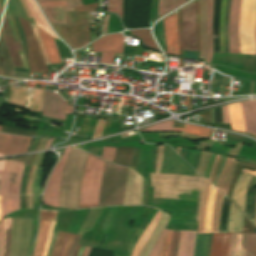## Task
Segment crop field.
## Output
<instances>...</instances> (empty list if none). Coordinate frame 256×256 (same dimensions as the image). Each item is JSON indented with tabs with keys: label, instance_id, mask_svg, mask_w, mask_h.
I'll list each match as a JSON object with an SVG mask.
<instances>
[{
	"label": "crop field",
	"instance_id": "8a807250",
	"mask_svg": "<svg viewBox=\"0 0 256 256\" xmlns=\"http://www.w3.org/2000/svg\"><path fill=\"white\" fill-rule=\"evenodd\" d=\"M128 169L115 164H105L99 206L122 204Z\"/></svg>",
	"mask_w": 256,
	"mask_h": 256
},
{
	"label": "crop field",
	"instance_id": "ac0d7876",
	"mask_svg": "<svg viewBox=\"0 0 256 256\" xmlns=\"http://www.w3.org/2000/svg\"><path fill=\"white\" fill-rule=\"evenodd\" d=\"M105 162L88 155L80 185V208L98 206L99 188Z\"/></svg>",
	"mask_w": 256,
	"mask_h": 256
},
{
	"label": "crop field",
	"instance_id": "34b2d1b8",
	"mask_svg": "<svg viewBox=\"0 0 256 256\" xmlns=\"http://www.w3.org/2000/svg\"><path fill=\"white\" fill-rule=\"evenodd\" d=\"M67 25L51 23L57 34L74 49L83 47L89 41L88 12L75 14L66 12Z\"/></svg>",
	"mask_w": 256,
	"mask_h": 256
},
{
	"label": "crop field",
	"instance_id": "412701ff",
	"mask_svg": "<svg viewBox=\"0 0 256 256\" xmlns=\"http://www.w3.org/2000/svg\"><path fill=\"white\" fill-rule=\"evenodd\" d=\"M256 0H242L239 22L240 54L256 55Z\"/></svg>",
	"mask_w": 256,
	"mask_h": 256
},
{
	"label": "crop field",
	"instance_id": "f4fd0767",
	"mask_svg": "<svg viewBox=\"0 0 256 256\" xmlns=\"http://www.w3.org/2000/svg\"><path fill=\"white\" fill-rule=\"evenodd\" d=\"M33 219L12 218L10 256H26Z\"/></svg>",
	"mask_w": 256,
	"mask_h": 256
},
{
	"label": "crop field",
	"instance_id": "dd49c442",
	"mask_svg": "<svg viewBox=\"0 0 256 256\" xmlns=\"http://www.w3.org/2000/svg\"><path fill=\"white\" fill-rule=\"evenodd\" d=\"M13 66L23 68L20 55L24 54L18 37V33L11 15H5L1 29Z\"/></svg>",
	"mask_w": 256,
	"mask_h": 256
},
{
	"label": "crop field",
	"instance_id": "e52e79f7",
	"mask_svg": "<svg viewBox=\"0 0 256 256\" xmlns=\"http://www.w3.org/2000/svg\"><path fill=\"white\" fill-rule=\"evenodd\" d=\"M26 35L30 72H48L31 24L19 18Z\"/></svg>",
	"mask_w": 256,
	"mask_h": 256
},
{
	"label": "crop field",
	"instance_id": "d8731c3e",
	"mask_svg": "<svg viewBox=\"0 0 256 256\" xmlns=\"http://www.w3.org/2000/svg\"><path fill=\"white\" fill-rule=\"evenodd\" d=\"M23 167L20 162H5L3 171H0V195L19 194Z\"/></svg>",
	"mask_w": 256,
	"mask_h": 256
},
{
	"label": "crop field",
	"instance_id": "5a996713",
	"mask_svg": "<svg viewBox=\"0 0 256 256\" xmlns=\"http://www.w3.org/2000/svg\"><path fill=\"white\" fill-rule=\"evenodd\" d=\"M183 50L197 51L195 4L182 9Z\"/></svg>",
	"mask_w": 256,
	"mask_h": 256
},
{
	"label": "crop field",
	"instance_id": "3316defc",
	"mask_svg": "<svg viewBox=\"0 0 256 256\" xmlns=\"http://www.w3.org/2000/svg\"><path fill=\"white\" fill-rule=\"evenodd\" d=\"M69 149L70 148H67L65 150L60 162L52 172L50 179L48 181V184L44 193V198H43V202L47 205H52L57 207L61 172H62L64 161Z\"/></svg>",
	"mask_w": 256,
	"mask_h": 256
},
{
	"label": "crop field",
	"instance_id": "28ad6ade",
	"mask_svg": "<svg viewBox=\"0 0 256 256\" xmlns=\"http://www.w3.org/2000/svg\"><path fill=\"white\" fill-rule=\"evenodd\" d=\"M31 139L0 134V153L8 155L26 152Z\"/></svg>",
	"mask_w": 256,
	"mask_h": 256
},
{
	"label": "crop field",
	"instance_id": "d1516ede",
	"mask_svg": "<svg viewBox=\"0 0 256 256\" xmlns=\"http://www.w3.org/2000/svg\"><path fill=\"white\" fill-rule=\"evenodd\" d=\"M38 2L58 1V0H37ZM66 5L42 8L49 22L66 24L65 11L74 10V6H79L81 0H65Z\"/></svg>",
	"mask_w": 256,
	"mask_h": 256
},
{
	"label": "crop field",
	"instance_id": "22f410ed",
	"mask_svg": "<svg viewBox=\"0 0 256 256\" xmlns=\"http://www.w3.org/2000/svg\"><path fill=\"white\" fill-rule=\"evenodd\" d=\"M241 0H232L229 15V53L239 54L238 21Z\"/></svg>",
	"mask_w": 256,
	"mask_h": 256
},
{
	"label": "crop field",
	"instance_id": "cbeb9de0",
	"mask_svg": "<svg viewBox=\"0 0 256 256\" xmlns=\"http://www.w3.org/2000/svg\"><path fill=\"white\" fill-rule=\"evenodd\" d=\"M165 41L169 54L179 56L177 14L164 19Z\"/></svg>",
	"mask_w": 256,
	"mask_h": 256
},
{
	"label": "crop field",
	"instance_id": "5142ce71",
	"mask_svg": "<svg viewBox=\"0 0 256 256\" xmlns=\"http://www.w3.org/2000/svg\"><path fill=\"white\" fill-rule=\"evenodd\" d=\"M63 104L64 101L58 94L45 92L42 115L65 120L66 115L62 114Z\"/></svg>",
	"mask_w": 256,
	"mask_h": 256
},
{
	"label": "crop field",
	"instance_id": "d9b57169",
	"mask_svg": "<svg viewBox=\"0 0 256 256\" xmlns=\"http://www.w3.org/2000/svg\"><path fill=\"white\" fill-rule=\"evenodd\" d=\"M93 51L121 53L123 50V37L121 34L104 36L92 43Z\"/></svg>",
	"mask_w": 256,
	"mask_h": 256
},
{
	"label": "crop field",
	"instance_id": "733c2abd",
	"mask_svg": "<svg viewBox=\"0 0 256 256\" xmlns=\"http://www.w3.org/2000/svg\"><path fill=\"white\" fill-rule=\"evenodd\" d=\"M252 176L240 174L233 191L232 201L244 212L246 188Z\"/></svg>",
	"mask_w": 256,
	"mask_h": 256
},
{
	"label": "crop field",
	"instance_id": "4a817a6b",
	"mask_svg": "<svg viewBox=\"0 0 256 256\" xmlns=\"http://www.w3.org/2000/svg\"><path fill=\"white\" fill-rule=\"evenodd\" d=\"M241 105L246 132L252 133L256 136V101L243 102Z\"/></svg>",
	"mask_w": 256,
	"mask_h": 256
},
{
	"label": "crop field",
	"instance_id": "bc2a9ffb",
	"mask_svg": "<svg viewBox=\"0 0 256 256\" xmlns=\"http://www.w3.org/2000/svg\"><path fill=\"white\" fill-rule=\"evenodd\" d=\"M231 234H213L210 256H227Z\"/></svg>",
	"mask_w": 256,
	"mask_h": 256
},
{
	"label": "crop field",
	"instance_id": "214f88e0",
	"mask_svg": "<svg viewBox=\"0 0 256 256\" xmlns=\"http://www.w3.org/2000/svg\"><path fill=\"white\" fill-rule=\"evenodd\" d=\"M196 232L180 231L177 256H192Z\"/></svg>",
	"mask_w": 256,
	"mask_h": 256
},
{
	"label": "crop field",
	"instance_id": "92a150f3",
	"mask_svg": "<svg viewBox=\"0 0 256 256\" xmlns=\"http://www.w3.org/2000/svg\"><path fill=\"white\" fill-rule=\"evenodd\" d=\"M248 233L232 234L228 256H245Z\"/></svg>",
	"mask_w": 256,
	"mask_h": 256
},
{
	"label": "crop field",
	"instance_id": "dafd665d",
	"mask_svg": "<svg viewBox=\"0 0 256 256\" xmlns=\"http://www.w3.org/2000/svg\"><path fill=\"white\" fill-rule=\"evenodd\" d=\"M228 109H229V115H230L232 129L235 131L245 132L244 121H243L240 103L229 105Z\"/></svg>",
	"mask_w": 256,
	"mask_h": 256
},
{
	"label": "crop field",
	"instance_id": "00972430",
	"mask_svg": "<svg viewBox=\"0 0 256 256\" xmlns=\"http://www.w3.org/2000/svg\"><path fill=\"white\" fill-rule=\"evenodd\" d=\"M243 218H244V215L232 203L230 214H229L227 233L241 232Z\"/></svg>",
	"mask_w": 256,
	"mask_h": 256
},
{
	"label": "crop field",
	"instance_id": "a9b5d70f",
	"mask_svg": "<svg viewBox=\"0 0 256 256\" xmlns=\"http://www.w3.org/2000/svg\"><path fill=\"white\" fill-rule=\"evenodd\" d=\"M212 234H197L193 256H209Z\"/></svg>",
	"mask_w": 256,
	"mask_h": 256
},
{
	"label": "crop field",
	"instance_id": "4177f3b9",
	"mask_svg": "<svg viewBox=\"0 0 256 256\" xmlns=\"http://www.w3.org/2000/svg\"><path fill=\"white\" fill-rule=\"evenodd\" d=\"M51 64L61 63L53 37L39 29Z\"/></svg>",
	"mask_w": 256,
	"mask_h": 256
},
{
	"label": "crop field",
	"instance_id": "730fd06b",
	"mask_svg": "<svg viewBox=\"0 0 256 256\" xmlns=\"http://www.w3.org/2000/svg\"><path fill=\"white\" fill-rule=\"evenodd\" d=\"M162 214L163 213L157 211V213L155 214V216L151 220L150 224L148 225L147 229L145 230V232L142 234L139 241L137 242L131 256H138L140 250L142 249L145 242L149 238L151 232L153 231L155 225L157 224V222H158V220H159V218L161 217Z\"/></svg>",
	"mask_w": 256,
	"mask_h": 256
},
{
	"label": "crop field",
	"instance_id": "eef30255",
	"mask_svg": "<svg viewBox=\"0 0 256 256\" xmlns=\"http://www.w3.org/2000/svg\"><path fill=\"white\" fill-rule=\"evenodd\" d=\"M201 9V38L202 54L201 59L206 61L207 56V38H206V0H199Z\"/></svg>",
	"mask_w": 256,
	"mask_h": 256
},
{
	"label": "crop field",
	"instance_id": "ae1a2a85",
	"mask_svg": "<svg viewBox=\"0 0 256 256\" xmlns=\"http://www.w3.org/2000/svg\"><path fill=\"white\" fill-rule=\"evenodd\" d=\"M167 221H168V216L164 213V215L162 216V218L158 222L151 238L149 239V241L147 242L146 246L144 247V249L142 250V252L140 253L139 256H148V254L151 251V249H152L156 239L158 238L160 232L165 227Z\"/></svg>",
	"mask_w": 256,
	"mask_h": 256
},
{
	"label": "crop field",
	"instance_id": "d3111659",
	"mask_svg": "<svg viewBox=\"0 0 256 256\" xmlns=\"http://www.w3.org/2000/svg\"><path fill=\"white\" fill-rule=\"evenodd\" d=\"M25 2H26L28 8L30 9V11H31V13H32V15L34 17L37 26H39L41 29H43L48 34H50L53 37H55L53 32L51 31L50 27L46 23L45 19L41 15L40 11L36 7L35 3L33 2V0H25Z\"/></svg>",
	"mask_w": 256,
	"mask_h": 256
},
{
	"label": "crop field",
	"instance_id": "750c4746",
	"mask_svg": "<svg viewBox=\"0 0 256 256\" xmlns=\"http://www.w3.org/2000/svg\"><path fill=\"white\" fill-rule=\"evenodd\" d=\"M215 190L216 187L211 184L207 199L204 233H211V218L214 205Z\"/></svg>",
	"mask_w": 256,
	"mask_h": 256
},
{
	"label": "crop field",
	"instance_id": "bd1437ed",
	"mask_svg": "<svg viewBox=\"0 0 256 256\" xmlns=\"http://www.w3.org/2000/svg\"><path fill=\"white\" fill-rule=\"evenodd\" d=\"M212 10H213V0H208L207 7V37H208V57L207 62H211V56L213 51L212 43Z\"/></svg>",
	"mask_w": 256,
	"mask_h": 256
},
{
	"label": "crop field",
	"instance_id": "1d83c4d3",
	"mask_svg": "<svg viewBox=\"0 0 256 256\" xmlns=\"http://www.w3.org/2000/svg\"><path fill=\"white\" fill-rule=\"evenodd\" d=\"M49 223L50 221H45V220H41L40 222V230H39L38 238L36 241L34 256L42 255L44 243H45L47 232H48Z\"/></svg>",
	"mask_w": 256,
	"mask_h": 256
},
{
	"label": "crop field",
	"instance_id": "120bbe31",
	"mask_svg": "<svg viewBox=\"0 0 256 256\" xmlns=\"http://www.w3.org/2000/svg\"><path fill=\"white\" fill-rule=\"evenodd\" d=\"M212 129L184 123L183 128H174V131L185 132L208 138Z\"/></svg>",
	"mask_w": 256,
	"mask_h": 256
},
{
	"label": "crop field",
	"instance_id": "d32e631a",
	"mask_svg": "<svg viewBox=\"0 0 256 256\" xmlns=\"http://www.w3.org/2000/svg\"><path fill=\"white\" fill-rule=\"evenodd\" d=\"M19 209V196L2 197L3 218L10 212Z\"/></svg>",
	"mask_w": 256,
	"mask_h": 256
},
{
	"label": "crop field",
	"instance_id": "5866460e",
	"mask_svg": "<svg viewBox=\"0 0 256 256\" xmlns=\"http://www.w3.org/2000/svg\"><path fill=\"white\" fill-rule=\"evenodd\" d=\"M185 3V0H159L157 18Z\"/></svg>",
	"mask_w": 256,
	"mask_h": 256
},
{
	"label": "crop field",
	"instance_id": "028f5c9d",
	"mask_svg": "<svg viewBox=\"0 0 256 256\" xmlns=\"http://www.w3.org/2000/svg\"><path fill=\"white\" fill-rule=\"evenodd\" d=\"M132 35L139 37L144 46L159 51L149 33V30H134L132 31Z\"/></svg>",
	"mask_w": 256,
	"mask_h": 256
},
{
	"label": "crop field",
	"instance_id": "e1f06a70",
	"mask_svg": "<svg viewBox=\"0 0 256 256\" xmlns=\"http://www.w3.org/2000/svg\"><path fill=\"white\" fill-rule=\"evenodd\" d=\"M3 224H4L3 256H8L10 230H11V218H7V219L3 220Z\"/></svg>",
	"mask_w": 256,
	"mask_h": 256
},
{
	"label": "crop field",
	"instance_id": "0bd39190",
	"mask_svg": "<svg viewBox=\"0 0 256 256\" xmlns=\"http://www.w3.org/2000/svg\"><path fill=\"white\" fill-rule=\"evenodd\" d=\"M173 121H164L147 128L141 129V131H172Z\"/></svg>",
	"mask_w": 256,
	"mask_h": 256
},
{
	"label": "crop field",
	"instance_id": "b80d0937",
	"mask_svg": "<svg viewBox=\"0 0 256 256\" xmlns=\"http://www.w3.org/2000/svg\"><path fill=\"white\" fill-rule=\"evenodd\" d=\"M68 234L69 233H67V232H61V231L58 232L56 242H55V245H54L51 256H58L59 255Z\"/></svg>",
	"mask_w": 256,
	"mask_h": 256
},
{
	"label": "crop field",
	"instance_id": "c035e120",
	"mask_svg": "<svg viewBox=\"0 0 256 256\" xmlns=\"http://www.w3.org/2000/svg\"><path fill=\"white\" fill-rule=\"evenodd\" d=\"M227 0L222 1L221 19H220V38H221V53H224V22H225V8Z\"/></svg>",
	"mask_w": 256,
	"mask_h": 256
},
{
	"label": "crop field",
	"instance_id": "c21b1889",
	"mask_svg": "<svg viewBox=\"0 0 256 256\" xmlns=\"http://www.w3.org/2000/svg\"><path fill=\"white\" fill-rule=\"evenodd\" d=\"M108 3V10L111 12L118 13L122 18L123 0H108Z\"/></svg>",
	"mask_w": 256,
	"mask_h": 256
},
{
	"label": "crop field",
	"instance_id": "03da06ac",
	"mask_svg": "<svg viewBox=\"0 0 256 256\" xmlns=\"http://www.w3.org/2000/svg\"><path fill=\"white\" fill-rule=\"evenodd\" d=\"M167 231L168 230H166V229L163 230V232H162L160 238L158 239L154 249L152 250L150 256H159L162 245H163V242H164V239H165L166 234H167Z\"/></svg>",
	"mask_w": 256,
	"mask_h": 256
},
{
	"label": "crop field",
	"instance_id": "b54c1fbb",
	"mask_svg": "<svg viewBox=\"0 0 256 256\" xmlns=\"http://www.w3.org/2000/svg\"><path fill=\"white\" fill-rule=\"evenodd\" d=\"M255 240H256V234L249 233L247 249H246V256H253Z\"/></svg>",
	"mask_w": 256,
	"mask_h": 256
},
{
	"label": "crop field",
	"instance_id": "5d738f31",
	"mask_svg": "<svg viewBox=\"0 0 256 256\" xmlns=\"http://www.w3.org/2000/svg\"><path fill=\"white\" fill-rule=\"evenodd\" d=\"M116 148L103 147L101 157L105 160L112 161L114 160Z\"/></svg>",
	"mask_w": 256,
	"mask_h": 256
},
{
	"label": "crop field",
	"instance_id": "d23c7cc5",
	"mask_svg": "<svg viewBox=\"0 0 256 256\" xmlns=\"http://www.w3.org/2000/svg\"><path fill=\"white\" fill-rule=\"evenodd\" d=\"M75 236H76L75 234H71V233L69 234V236L66 240V243H65L59 256H67V254L72 246Z\"/></svg>",
	"mask_w": 256,
	"mask_h": 256
},
{
	"label": "crop field",
	"instance_id": "425ffa30",
	"mask_svg": "<svg viewBox=\"0 0 256 256\" xmlns=\"http://www.w3.org/2000/svg\"><path fill=\"white\" fill-rule=\"evenodd\" d=\"M172 233H173V230L168 231L160 256H168Z\"/></svg>",
	"mask_w": 256,
	"mask_h": 256
},
{
	"label": "crop field",
	"instance_id": "25e5ab78",
	"mask_svg": "<svg viewBox=\"0 0 256 256\" xmlns=\"http://www.w3.org/2000/svg\"><path fill=\"white\" fill-rule=\"evenodd\" d=\"M42 175H43V168H38V171H37L36 176H35L33 194L42 192V190L40 188V181H41Z\"/></svg>",
	"mask_w": 256,
	"mask_h": 256
},
{
	"label": "crop field",
	"instance_id": "73cf0c24",
	"mask_svg": "<svg viewBox=\"0 0 256 256\" xmlns=\"http://www.w3.org/2000/svg\"><path fill=\"white\" fill-rule=\"evenodd\" d=\"M32 26H33L35 35H36V37H37L38 43H39V45H40L42 54H43V56H44L45 62H46L47 65H49L50 63H49V60H48V57H47V54H46V51H45V48H44L42 39H41V37H40L38 28H37V26H35V25H33V24H32Z\"/></svg>",
	"mask_w": 256,
	"mask_h": 256
},
{
	"label": "crop field",
	"instance_id": "89e229c0",
	"mask_svg": "<svg viewBox=\"0 0 256 256\" xmlns=\"http://www.w3.org/2000/svg\"><path fill=\"white\" fill-rule=\"evenodd\" d=\"M230 2H231V0H228L227 10H226V23H225V53H228V45H229V38H228V15H229Z\"/></svg>",
	"mask_w": 256,
	"mask_h": 256
},
{
	"label": "crop field",
	"instance_id": "1f2cbd36",
	"mask_svg": "<svg viewBox=\"0 0 256 256\" xmlns=\"http://www.w3.org/2000/svg\"><path fill=\"white\" fill-rule=\"evenodd\" d=\"M178 235H179V231H174L173 241H172V245H171V250H170V255L169 256H176L177 243H178Z\"/></svg>",
	"mask_w": 256,
	"mask_h": 256
},
{
	"label": "crop field",
	"instance_id": "dbb93151",
	"mask_svg": "<svg viewBox=\"0 0 256 256\" xmlns=\"http://www.w3.org/2000/svg\"><path fill=\"white\" fill-rule=\"evenodd\" d=\"M113 56H114V54H112V53H103L101 63L112 64Z\"/></svg>",
	"mask_w": 256,
	"mask_h": 256
},
{
	"label": "crop field",
	"instance_id": "0fb4a251",
	"mask_svg": "<svg viewBox=\"0 0 256 256\" xmlns=\"http://www.w3.org/2000/svg\"><path fill=\"white\" fill-rule=\"evenodd\" d=\"M13 17H14V16H13ZM14 19H15L16 25H17V27H18V30H19V32H20V37H21V39H22V41H23V45H24V48H25V51H26V55H27L26 44H25V36H24V34H23V31H22V28H21V25H20V23H19L18 18H17V17H14Z\"/></svg>",
	"mask_w": 256,
	"mask_h": 256
},
{
	"label": "crop field",
	"instance_id": "1d79db26",
	"mask_svg": "<svg viewBox=\"0 0 256 256\" xmlns=\"http://www.w3.org/2000/svg\"><path fill=\"white\" fill-rule=\"evenodd\" d=\"M55 223L56 222H53V221H51V223H50V228H49L48 237H47V241H46V245H45V250H44L43 256L46 255L47 247H48L49 240H50V237H51V234H52V231H53Z\"/></svg>",
	"mask_w": 256,
	"mask_h": 256
},
{
	"label": "crop field",
	"instance_id": "9d1cf04e",
	"mask_svg": "<svg viewBox=\"0 0 256 256\" xmlns=\"http://www.w3.org/2000/svg\"><path fill=\"white\" fill-rule=\"evenodd\" d=\"M35 156H36V155L33 156V159H32V161H31V164H30V167H29L27 176H26L24 194H27V184H28V180H29V177H30V174H31V170H32V167H33V164H34Z\"/></svg>",
	"mask_w": 256,
	"mask_h": 256
},
{
	"label": "crop field",
	"instance_id": "447ae74e",
	"mask_svg": "<svg viewBox=\"0 0 256 256\" xmlns=\"http://www.w3.org/2000/svg\"><path fill=\"white\" fill-rule=\"evenodd\" d=\"M57 213L41 212L40 219L55 220Z\"/></svg>",
	"mask_w": 256,
	"mask_h": 256
},
{
	"label": "crop field",
	"instance_id": "0765c3eb",
	"mask_svg": "<svg viewBox=\"0 0 256 256\" xmlns=\"http://www.w3.org/2000/svg\"><path fill=\"white\" fill-rule=\"evenodd\" d=\"M160 34H161V39H162L163 50H164V52H166L165 41H164L163 20L160 21Z\"/></svg>",
	"mask_w": 256,
	"mask_h": 256
},
{
	"label": "crop field",
	"instance_id": "db79e9e6",
	"mask_svg": "<svg viewBox=\"0 0 256 256\" xmlns=\"http://www.w3.org/2000/svg\"><path fill=\"white\" fill-rule=\"evenodd\" d=\"M65 4L64 1L39 3L40 7Z\"/></svg>",
	"mask_w": 256,
	"mask_h": 256
},
{
	"label": "crop field",
	"instance_id": "7b73153f",
	"mask_svg": "<svg viewBox=\"0 0 256 256\" xmlns=\"http://www.w3.org/2000/svg\"><path fill=\"white\" fill-rule=\"evenodd\" d=\"M224 123H230L227 106L222 107Z\"/></svg>",
	"mask_w": 256,
	"mask_h": 256
},
{
	"label": "crop field",
	"instance_id": "78b8030e",
	"mask_svg": "<svg viewBox=\"0 0 256 256\" xmlns=\"http://www.w3.org/2000/svg\"><path fill=\"white\" fill-rule=\"evenodd\" d=\"M57 232L58 231H56V230H54V232H53V236H52L51 244H50L48 252H47V256H50V253H51V250H52V247H53V244H54Z\"/></svg>",
	"mask_w": 256,
	"mask_h": 256
},
{
	"label": "crop field",
	"instance_id": "0f1d7ab4",
	"mask_svg": "<svg viewBox=\"0 0 256 256\" xmlns=\"http://www.w3.org/2000/svg\"><path fill=\"white\" fill-rule=\"evenodd\" d=\"M79 239H80V236L77 235L76 238H75V241L73 243V246H72V248H71V250H70V252L68 254V256H72L73 255Z\"/></svg>",
	"mask_w": 256,
	"mask_h": 256
},
{
	"label": "crop field",
	"instance_id": "e1d0b9f6",
	"mask_svg": "<svg viewBox=\"0 0 256 256\" xmlns=\"http://www.w3.org/2000/svg\"><path fill=\"white\" fill-rule=\"evenodd\" d=\"M63 113L72 114V106L67 105V101H65Z\"/></svg>",
	"mask_w": 256,
	"mask_h": 256
},
{
	"label": "crop field",
	"instance_id": "ae633e8c",
	"mask_svg": "<svg viewBox=\"0 0 256 256\" xmlns=\"http://www.w3.org/2000/svg\"><path fill=\"white\" fill-rule=\"evenodd\" d=\"M2 235H3V225H2V221L0 222V256H1V252H2Z\"/></svg>",
	"mask_w": 256,
	"mask_h": 256
},
{
	"label": "crop field",
	"instance_id": "d14b1444",
	"mask_svg": "<svg viewBox=\"0 0 256 256\" xmlns=\"http://www.w3.org/2000/svg\"><path fill=\"white\" fill-rule=\"evenodd\" d=\"M108 17H109V15H107V16L105 17V19H104V24H103V31H104V34H106V32H107ZM104 34H102V35H104Z\"/></svg>",
	"mask_w": 256,
	"mask_h": 256
},
{
	"label": "crop field",
	"instance_id": "c39391a2",
	"mask_svg": "<svg viewBox=\"0 0 256 256\" xmlns=\"http://www.w3.org/2000/svg\"><path fill=\"white\" fill-rule=\"evenodd\" d=\"M186 99H187V107H188V110L191 109V106H190V99L189 97L186 96Z\"/></svg>",
	"mask_w": 256,
	"mask_h": 256
},
{
	"label": "crop field",
	"instance_id": "ade564c9",
	"mask_svg": "<svg viewBox=\"0 0 256 256\" xmlns=\"http://www.w3.org/2000/svg\"><path fill=\"white\" fill-rule=\"evenodd\" d=\"M52 140H53V139H51V138L49 139V141H48V143H47V145H46L45 149H48V148H49V146H50V144H51Z\"/></svg>",
	"mask_w": 256,
	"mask_h": 256
},
{
	"label": "crop field",
	"instance_id": "c5b07064",
	"mask_svg": "<svg viewBox=\"0 0 256 256\" xmlns=\"http://www.w3.org/2000/svg\"><path fill=\"white\" fill-rule=\"evenodd\" d=\"M80 247H81V246H79V245L77 246L74 256H77V254H78V252H79Z\"/></svg>",
	"mask_w": 256,
	"mask_h": 256
},
{
	"label": "crop field",
	"instance_id": "c3a83c6f",
	"mask_svg": "<svg viewBox=\"0 0 256 256\" xmlns=\"http://www.w3.org/2000/svg\"><path fill=\"white\" fill-rule=\"evenodd\" d=\"M5 160L0 161V170H2Z\"/></svg>",
	"mask_w": 256,
	"mask_h": 256
},
{
	"label": "crop field",
	"instance_id": "fb207236",
	"mask_svg": "<svg viewBox=\"0 0 256 256\" xmlns=\"http://www.w3.org/2000/svg\"><path fill=\"white\" fill-rule=\"evenodd\" d=\"M243 172H246V173H249V174H252V175H256V173H254V172H251V171H247V170H242Z\"/></svg>",
	"mask_w": 256,
	"mask_h": 256
},
{
	"label": "crop field",
	"instance_id": "7312dd0a",
	"mask_svg": "<svg viewBox=\"0 0 256 256\" xmlns=\"http://www.w3.org/2000/svg\"><path fill=\"white\" fill-rule=\"evenodd\" d=\"M88 247H84V250H83V253H82V256H85V253H86V250H87Z\"/></svg>",
	"mask_w": 256,
	"mask_h": 256
},
{
	"label": "crop field",
	"instance_id": "180be81f",
	"mask_svg": "<svg viewBox=\"0 0 256 256\" xmlns=\"http://www.w3.org/2000/svg\"><path fill=\"white\" fill-rule=\"evenodd\" d=\"M2 219V214H1V197H0V220Z\"/></svg>",
	"mask_w": 256,
	"mask_h": 256
},
{
	"label": "crop field",
	"instance_id": "f0312440",
	"mask_svg": "<svg viewBox=\"0 0 256 256\" xmlns=\"http://www.w3.org/2000/svg\"><path fill=\"white\" fill-rule=\"evenodd\" d=\"M90 249H91V248H88V251H87V253H86V256H88V253H89Z\"/></svg>",
	"mask_w": 256,
	"mask_h": 256
},
{
	"label": "crop field",
	"instance_id": "1f1604b0",
	"mask_svg": "<svg viewBox=\"0 0 256 256\" xmlns=\"http://www.w3.org/2000/svg\"><path fill=\"white\" fill-rule=\"evenodd\" d=\"M1 11H2V8H1V6H0V15H1Z\"/></svg>",
	"mask_w": 256,
	"mask_h": 256
},
{
	"label": "crop field",
	"instance_id": "819c52e7",
	"mask_svg": "<svg viewBox=\"0 0 256 256\" xmlns=\"http://www.w3.org/2000/svg\"><path fill=\"white\" fill-rule=\"evenodd\" d=\"M254 256H256V248H255V254H254Z\"/></svg>",
	"mask_w": 256,
	"mask_h": 256
},
{
	"label": "crop field",
	"instance_id": "c821d689",
	"mask_svg": "<svg viewBox=\"0 0 256 256\" xmlns=\"http://www.w3.org/2000/svg\"><path fill=\"white\" fill-rule=\"evenodd\" d=\"M255 225H256V218H255Z\"/></svg>",
	"mask_w": 256,
	"mask_h": 256
},
{
	"label": "crop field",
	"instance_id": "a0ae1fb6",
	"mask_svg": "<svg viewBox=\"0 0 256 256\" xmlns=\"http://www.w3.org/2000/svg\"><path fill=\"white\" fill-rule=\"evenodd\" d=\"M77 56H78V53H77ZM78 59H79V56H78Z\"/></svg>",
	"mask_w": 256,
	"mask_h": 256
},
{
	"label": "crop field",
	"instance_id": "8de936bc",
	"mask_svg": "<svg viewBox=\"0 0 256 256\" xmlns=\"http://www.w3.org/2000/svg\"><path fill=\"white\" fill-rule=\"evenodd\" d=\"M0 156H2V155H0Z\"/></svg>",
	"mask_w": 256,
	"mask_h": 256
},
{
	"label": "crop field",
	"instance_id": "920284fa",
	"mask_svg": "<svg viewBox=\"0 0 256 256\" xmlns=\"http://www.w3.org/2000/svg\"><path fill=\"white\" fill-rule=\"evenodd\" d=\"M186 1H188V0H186Z\"/></svg>",
	"mask_w": 256,
	"mask_h": 256
},
{
	"label": "crop field",
	"instance_id": "f47e1a6f",
	"mask_svg": "<svg viewBox=\"0 0 256 256\" xmlns=\"http://www.w3.org/2000/svg\"><path fill=\"white\" fill-rule=\"evenodd\" d=\"M1 127V126H0Z\"/></svg>",
	"mask_w": 256,
	"mask_h": 256
},
{
	"label": "crop field",
	"instance_id": "5edd877f",
	"mask_svg": "<svg viewBox=\"0 0 256 256\" xmlns=\"http://www.w3.org/2000/svg\"><path fill=\"white\" fill-rule=\"evenodd\" d=\"M1 178V177H0Z\"/></svg>",
	"mask_w": 256,
	"mask_h": 256
}]
</instances>
